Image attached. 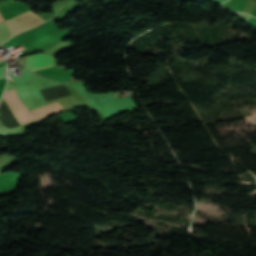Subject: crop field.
<instances>
[{
	"label": "crop field",
	"instance_id": "obj_2",
	"mask_svg": "<svg viewBox=\"0 0 256 256\" xmlns=\"http://www.w3.org/2000/svg\"><path fill=\"white\" fill-rule=\"evenodd\" d=\"M53 58L45 54H38L27 57V67L31 70L49 66L52 64ZM47 68V67H46Z\"/></svg>",
	"mask_w": 256,
	"mask_h": 256
},
{
	"label": "crop field",
	"instance_id": "obj_3",
	"mask_svg": "<svg viewBox=\"0 0 256 256\" xmlns=\"http://www.w3.org/2000/svg\"><path fill=\"white\" fill-rule=\"evenodd\" d=\"M60 111H63V108H62L61 104L58 102V103H55V104H52V105H49L46 107L34 109L31 112L41 119L46 116L58 113Z\"/></svg>",
	"mask_w": 256,
	"mask_h": 256
},
{
	"label": "crop field",
	"instance_id": "obj_1",
	"mask_svg": "<svg viewBox=\"0 0 256 256\" xmlns=\"http://www.w3.org/2000/svg\"><path fill=\"white\" fill-rule=\"evenodd\" d=\"M10 93L14 97L15 101L17 102L18 106L22 109V111L28 116V118L33 121L37 120L34 115H32L24 106L23 104L19 101L17 96L15 95L14 90H11ZM9 91L5 92V95L3 97L4 101L7 103V105L10 107L12 112L15 114V116L18 118V120L23 123L30 122V120L27 118V116L20 110V108L17 106L16 102L14 101L13 97Z\"/></svg>",
	"mask_w": 256,
	"mask_h": 256
}]
</instances>
